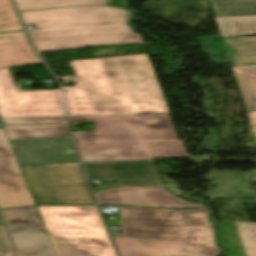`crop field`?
I'll return each instance as SVG.
<instances>
[{
	"label": "crop field",
	"instance_id": "19",
	"mask_svg": "<svg viewBox=\"0 0 256 256\" xmlns=\"http://www.w3.org/2000/svg\"><path fill=\"white\" fill-rule=\"evenodd\" d=\"M20 11L67 7L109 4L111 0H15Z\"/></svg>",
	"mask_w": 256,
	"mask_h": 256
},
{
	"label": "crop field",
	"instance_id": "13",
	"mask_svg": "<svg viewBox=\"0 0 256 256\" xmlns=\"http://www.w3.org/2000/svg\"><path fill=\"white\" fill-rule=\"evenodd\" d=\"M39 63L25 32L0 34V67Z\"/></svg>",
	"mask_w": 256,
	"mask_h": 256
},
{
	"label": "crop field",
	"instance_id": "27",
	"mask_svg": "<svg viewBox=\"0 0 256 256\" xmlns=\"http://www.w3.org/2000/svg\"><path fill=\"white\" fill-rule=\"evenodd\" d=\"M224 41H225V44H226L227 50H228V52H229V55H230V58H231L232 64H233V65H237V64H236V61H235V59H234V56H233V53H232L231 47H230V45H229L228 39H227V38H225V39H224Z\"/></svg>",
	"mask_w": 256,
	"mask_h": 256
},
{
	"label": "crop field",
	"instance_id": "14",
	"mask_svg": "<svg viewBox=\"0 0 256 256\" xmlns=\"http://www.w3.org/2000/svg\"><path fill=\"white\" fill-rule=\"evenodd\" d=\"M17 256H56L46 229L10 232Z\"/></svg>",
	"mask_w": 256,
	"mask_h": 256
},
{
	"label": "crop field",
	"instance_id": "8",
	"mask_svg": "<svg viewBox=\"0 0 256 256\" xmlns=\"http://www.w3.org/2000/svg\"><path fill=\"white\" fill-rule=\"evenodd\" d=\"M2 117L65 116L59 89L17 92L8 68H0Z\"/></svg>",
	"mask_w": 256,
	"mask_h": 256
},
{
	"label": "crop field",
	"instance_id": "31",
	"mask_svg": "<svg viewBox=\"0 0 256 256\" xmlns=\"http://www.w3.org/2000/svg\"><path fill=\"white\" fill-rule=\"evenodd\" d=\"M1 123V122H0Z\"/></svg>",
	"mask_w": 256,
	"mask_h": 256
},
{
	"label": "crop field",
	"instance_id": "20",
	"mask_svg": "<svg viewBox=\"0 0 256 256\" xmlns=\"http://www.w3.org/2000/svg\"><path fill=\"white\" fill-rule=\"evenodd\" d=\"M228 39L238 65L256 64V36Z\"/></svg>",
	"mask_w": 256,
	"mask_h": 256
},
{
	"label": "crop field",
	"instance_id": "30",
	"mask_svg": "<svg viewBox=\"0 0 256 256\" xmlns=\"http://www.w3.org/2000/svg\"><path fill=\"white\" fill-rule=\"evenodd\" d=\"M114 235V234H113ZM118 236H123V232H122V235H118Z\"/></svg>",
	"mask_w": 256,
	"mask_h": 256
},
{
	"label": "crop field",
	"instance_id": "23",
	"mask_svg": "<svg viewBox=\"0 0 256 256\" xmlns=\"http://www.w3.org/2000/svg\"><path fill=\"white\" fill-rule=\"evenodd\" d=\"M235 222L247 256H256V223Z\"/></svg>",
	"mask_w": 256,
	"mask_h": 256
},
{
	"label": "crop field",
	"instance_id": "21",
	"mask_svg": "<svg viewBox=\"0 0 256 256\" xmlns=\"http://www.w3.org/2000/svg\"><path fill=\"white\" fill-rule=\"evenodd\" d=\"M222 222L224 223L222 229L225 235L221 238V243L233 250V254L230 256H246L235 222L225 220H222Z\"/></svg>",
	"mask_w": 256,
	"mask_h": 256
},
{
	"label": "crop field",
	"instance_id": "3",
	"mask_svg": "<svg viewBox=\"0 0 256 256\" xmlns=\"http://www.w3.org/2000/svg\"><path fill=\"white\" fill-rule=\"evenodd\" d=\"M39 52L143 43L126 23L132 12L109 5L20 12ZM24 23V24H25Z\"/></svg>",
	"mask_w": 256,
	"mask_h": 256
},
{
	"label": "crop field",
	"instance_id": "10",
	"mask_svg": "<svg viewBox=\"0 0 256 256\" xmlns=\"http://www.w3.org/2000/svg\"><path fill=\"white\" fill-rule=\"evenodd\" d=\"M35 205L4 130H0V208Z\"/></svg>",
	"mask_w": 256,
	"mask_h": 256
},
{
	"label": "crop field",
	"instance_id": "16",
	"mask_svg": "<svg viewBox=\"0 0 256 256\" xmlns=\"http://www.w3.org/2000/svg\"><path fill=\"white\" fill-rule=\"evenodd\" d=\"M248 111L256 110V65L232 66Z\"/></svg>",
	"mask_w": 256,
	"mask_h": 256
},
{
	"label": "crop field",
	"instance_id": "11",
	"mask_svg": "<svg viewBox=\"0 0 256 256\" xmlns=\"http://www.w3.org/2000/svg\"><path fill=\"white\" fill-rule=\"evenodd\" d=\"M49 237L57 256H116L108 234Z\"/></svg>",
	"mask_w": 256,
	"mask_h": 256
},
{
	"label": "crop field",
	"instance_id": "9",
	"mask_svg": "<svg viewBox=\"0 0 256 256\" xmlns=\"http://www.w3.org/2000/svg\"><path fill=\"white\" fill-rule=\"evenodd\" d=\"M37 208L49 235L108 233L96 206Z\"/></svg>",
	"mask_w": 256,
	"mask_h": 256
},
{
	"label": "crop field",
	"instance_id": "17",
	"mask_svg": "<svg viewBox=\"0 0 256 256\" xmlns=\"http://www.w3.org/2000/svg\"><path fill=\"white\" fill-rule=\"evenodd\" d=\"M215 18L223 38L256 34V16Z\"/></svg>",
	"mask_w": 256,
	"mask_h": 256
},
{
	"label": "crop field",
	"instance_id": "4",
	"mask_svg": "<svg viewBox=\"0 0 256 256\" xmlns=\"http://www.w3.org/2000/svg\"><path fill=\"white\" fill-rule=\"evenodd\" d=\"M124 236L186 240L185 251L217 256L221 250L207 209L165 210L121 207Z\"/></svg>",
	"mask_w": 256,
	"mask_h": 256
},
{
	"label": "crop field",
	"instance_id": "24",
	"mask_svg": "<svg viewBox=\"0 0 256 256\" xmlns=\"http://www.w3.org/2000/svg\"><path fill=\"white\" fill-rule=\"evenodd\" d=\"M5 124L66 122L65 117L3 118Z\"/></svg>",
	"mask_w": 256,
	"mask_h": 256
},
{
	"label": "crop field",
	"instance_id": "25",
	"mask_svg": "<svg viewBox=\"0 0 256 256\" xmlns=\"http://www.w3.org/2000/svg\"><path fill=\"white\" fill-rule=\"evenodd\" d=\"M14 249L0 219V256H13Z\"/></svg>",
	"mask_w": 256,
	"mask_h": 256
},
{
	"label": "crop field",
	"instance_id": "18",
	"mask_svg": "<svg viewBox=\"0 0 256 256\" xmlns=\"http://www.w3.org/2000/svg\"><path fill=\"white\" fill-rule=\"evenodd\" d=\"M215 16L256 15V0H210Z\"/></svg>",
	"mask_w": 256,
	"mask_h": 256
},
{
	"label": "crop field",
	"instance_id": "12",
	"mask_svg": "<svg viewBox=\"0 0 256 256\" xmlns=\"http://www.w3.org/2000/svg\"><path fill=\"white\" fill-rule=\"evenodd\" d=\"M121 256H198L182 252L184 241L113 237Z\"/></svg>",
	"mask_w": 256,
	"mask_h": 256
},
{
	"label": "crop field",
	"instance_id": "22",
	"mask_svg": "<svg viewBox=\"0 0 256 256\" xmlns=\"http://www.w3.org/2000/svg\"><path fill=\"white\" fill-rule=\"evenodd\" d=\"M23 29L10 0H0V32Z\"/></svg>",
	"mask_w": 256,
	"mask_h": 256
},
{
	"label": "crop field",
	"instance_id": "1",
	"mask_svg": "<svg viewBox=\"0 0 256 256\" xmlns=\"http://www.w3.org/2000/svg\"><path fill=\"white\" fill-rule=\"evenodd\" d=\"M69 116L170 113L147 54L71 62Z\"/></svg>",
	"mask_w": 256,
	"mask_h": 256
},
{
	"label": "crop field",
	"instance_id": "6",
	"mask_svg": "<svg viewBox=\"0 0 256 256\" xmlns=\"http://www.w3.org/2000/svg\"><path fill=\"white\" fill-rule=\"evenodd\" d=\"M79 164L20 165L35 204H95Z\"/></svg>",
	"mask_w": 256,
	"mask_h": 256
},
{
	"label": "crop field",
	"instance_id": "2",
	"mask_svg": "<svg viewBox=\"0 0 256 256\" xmlns=\"http://www.w3.org/2000/svg\"><path fill=\"white\" fill-rule=\"evenodd\" d=\"M69 118L93 120L94 131L72 132L82 162L186 157L170 114Z\"/></svg>",
	"mask_w": 256,
	"mask_h": 256
},
{
	"label": "crop field",
	"instance_id": "26",
	"mask_svg": "<svg viewBox=\"0 0 256 256\" xmlns=\"http://www.w3.org/2000/svg\"><path fill=\"white\" fill-rule=\"evenodd\" d=\"M117 208H119V209H118L119 221H115V220H106L108 225H122L120 207L117 206Z\"/></svg>",
	"mask_w": 256,
	"mask_h": 256
},
{
	"label": "crop field",
	"instance_id": "7",
	"mask_svg": "<svg viewBox=\"0 0 256 256\" xmlns=\"http://www.w3.org/2000/svg\"><path fill=\"white\" fill-rule=\"evenodd\" d=\"M4 128L19 164L78 162L67 124Z\"/></svg>",
	"mask_w": 256,
	"mask_h": 256
},
{
	"label": "crop field",
	"instance_id": "15",
	"mask_svg": "<svg viewBox=\"0 0 256 256\" xmlns=\"http://www.w3.org/2000/svg\"><path fill=\"white\" fill-rule=\"evenodd\" d=\"M9 231L45 228L36 207L0 210Z\"/></svg>",
	"mask_w": 256,
	"mask_h": 256
},
{
	"label": "crop field",
	"instance_id": "5",
	"mask_svg": "<svg viewBox=\"0 0 256 256\" xmlns=\"http://www.w3.org/2000/svg\"><path fill=\"white\" fill-rule=\"evenodd\" d=\"M90 180L118 179L120 188L95 193L100 204L204 206L164 191L152 161L84 164Z\"/></svg>",
	"mask_w": 256,
	"mask_h": 256
},
{
	"label": "crop field",
	"instance_id": "29",
	"mask_svg": "<svg viewBox=\"0 0 256 256\" xmlns=\"http://www.w3.org/2000/svg\"><path fill=\"white\" fill-rule=\"evenodd\" d=\"M117 1L118 3H120L121 5L125 6L128 8V5L126 4V1L125 0H115Z\"/></svg>",
	"mask_w": 256,
	"mask_h": 256
},
{
	"label": "crop field",
	"instance_id": "28",
	"mask_svg": "<svg viewBox=\"0 0 256 256\" xmlns=\"http://www.w3.org/2000/svg\"><path fill=\"white\" fill-rule=\"evenodd\" d=\"M249 113V116L251 118V121H252V124H253V127H254V131H255V134H256V111L255 112H248Z\"/></svg>",
	"mask_w": 256,
	"mask_h": 256
}]
</instances>
